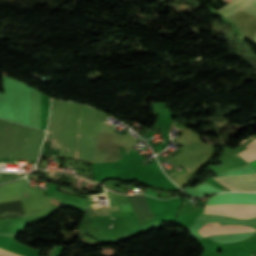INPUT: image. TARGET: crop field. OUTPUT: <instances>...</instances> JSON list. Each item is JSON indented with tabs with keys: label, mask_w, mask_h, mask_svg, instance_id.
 Masks as SVG:
<instances>
[{
	"label": "crop field",
	"mask_w": 256,
	"mask_h": 256,
	"mask_svg": "<svg viewBox=\"0 0 256 256\" xmlns=\"http://www.w3.org/2000/svg\"><path fill=\"white\" fill-rule=\"evenodd\" d=\"M205 207H256V194L225 193L216 195L207 200ZM204 213L252 218L256 216V208H205Z\"/></svg>",
	"instance_id": "obj_1"
},
{
	"label": "crop field",
	"mask_w": 256,
	"mask_h": 256,
	"mask_svg": "<svg viewBox=\"0 0 256 256\" xmlns=\"http://www.w3.org/2000/svg\"><path fill=\"white\" fill-rule=\"evenodd\" d=\"M223 186L232 191H255L256 192V174L215 178ZM214 179V180H215Z\"/></svg>",
	"instance_id": "obj_2"
},
{
	"label": "crop field",
	"mask_w": 256,
	"mask_h": 256,
	"mask_svg": "<svg viewBox=\"0 0 256 256\" xmlns=\"http://www.w3.org/2000/svg\"><path fill=\"white\" fill-rule=\"evenodd\" d=\"M249 226H242V225H223L220 226L219 223H209L205 226L201 227L199 230V233L207 231V230H213V229H235V228H247ZM249 231H256L254 228H248V229H236V230H214V231H208L201 233L203 237L210 236L213 234H224V233H241V232H249Z\"/></svg>",
	"instance_id": "obj_3"
},
{
	"label": "crop field",
	"mask_w": 256,
	"mask_h": 256,
	"mask_svg": "<svg viewBox=\"0 0 256 256\" xmlns=\"http://www.w3.org/2000/svg\"><path fill=\"white\" fill-rule=\"evenodd\" d=\"M249 0H232L230 3L219 9L218 11L224 16H229L235 11L239 10Z\"/></svg>",
	"instance_id": "obj_4"
},
{
	"label": "crop field",
	"mask_w": 256,
	"mask_h": 256,
	"mask_svg": "<svg viewBox=\"0 0 256 256\" xmlns=\"http://www.w3.org/2000/svg\"><path fill=\"white\" fill-rule=\"evenodd\" d=\"M245 147H247L248 149L238 153V155H240L247 162L256 159V139Z\"/></svg>",
	"instance_id": "obj_5"
},
{
	"label": "crop field",
	"mask_w": 256,
	"mask_h": 256,
	"mask_svg": "<svg viewBox=\"0 0 256 256\" xmlns=\"http://www.w3.org/2000/svg\"><path fill=\"white\" fill-rule=\"evenodd\" d=\"M241 10L256 16V0H251L250 3L246 5L244 8H242ZM253 41L256 42V33L254 35Z\"/></svg>",
	"instance_id": "obj_6"
},
{
	"label": "crop field",
	"mask_w": 256,
	"mask_h": 256,
	"mask_svg": "<svg viewBox=\"0 0 256 256\" xmlns=\"http://www.w3.org/2000/svg\"><path fill=\"white\" fill-rule=\"evenodd\" d=\"M0 256H20V255L0 249Z\"/></svg>",
	"instance_id": "obj_7"
},
{
	"label": "crop field",
	"mask_w": 256,
	"mask_h": 256,
	"mask_svg": "<svg viewBox=\"0 0 256 256\" xmlns=\"http://www.w3.org/2000/svg\"><path fill=\"white\" fill-rule=\"evenodd\" d=\"M249 164H251L256 169V160L251 162V163H249Z\"/></svg>",
	"instance_id": "obj_8"
}]
</instances>
